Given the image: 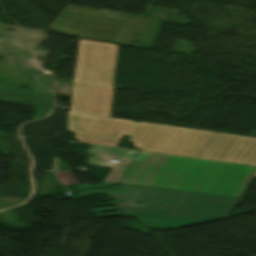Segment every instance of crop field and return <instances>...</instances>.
I'll return each instance as SVG.
<instances>
[{
	"mask_svg": "<svg viewBox=\"0 0 256 256\" xmlns=\"http://www.w3.org/2000/svg\"><path fill=\"white\" fill-rule=\"evenodd\" d=\"M166 192V194H161ZM239 198L231 196L185 192L146 187L139 200L146 206L132 202H117L126 216L159 229L181 228L228 217ZM217 211V212H214Z\"/></svg>",
	"mask_w": 256,
	"mask_h": 256,
	"instance_id": "crop-field-3",
	"label": "crop field"
},
{
	"mask_svg": "<svg viewBox=\"0 0 256 256\" xmlns=\"http://www.w3.org/2000/svg\"><path fill=\"white\" fill-rule=\"evenodd\" d=\"M117 49L80 40L68 130L83 142L118 146L126 134L140 150L198 158L215 132L72 114L109 117Z\"/></svg>",
	"mask_w": 256,
	"mask_h": 256,
	"instance_id": "crop-field-1",
	"label": "crop field"
},
{
	"mask_svg": "<svg viewBox=\"0 0 256 256\" xmlns=\"http://www.w3.org/2000/svg\"><path fill=\"white\" fill-rule=\"evenodd\" d=\"M144 189L145 187L141 186L120 184L119 186L113 187L110 193L116 199L136 202L140 196V192H143Z\"/></svg>",
	"mask_w": 256,
	"mask_h": 256,
	"instance_id": "crop-field-8",
	"label": "crop field"
},
{
	"mask_svg": "<svg viewBox=\"0 0 256 256\" xmlns=\"http://www.w3.org/2000/svg\"><path fill=\"white\" fill-rule=\"evenodd\" d=\"M88 153L95 154L89 164L114 167L107 181L119 182L127 168L130 166L137 151L94 146ZM111 159L119 160L118 163H110Z\"/></svg>",
	"mask_w": 256,
	"mask_h": 256,
	"instance_id": "crop-field-6",
	"label": "crop field"
},
{
	"mask_svg": "<svg viewBox=\"0 0 256 256\" xmlns=\"http://www.w3.org/2000/svg\"><path fill=\"white\" fill-rule=\"evenodd\" d=\"M199 158L256 166V138L215 133Z\"/></svg>",
	"mask_w": 256,
	"mask_h": 256,
	"instance_id": "crop-field-5",
	"label": "crop field"
},
{
	"mask_svg": "<svg viewBox=\"0 0 256 256\" xmlns=\"http://www.w3.org/2000/svg\"><path fill=\"white\" fill-rule=\"evenodd\" d=\"M255 170L140 152L122 182L240 196Z\"/></svg>",
	"mask_w": 256,
	"mask_h": 256,
	"instance_id": "crop-field-2",
	"label": "crop field"
},
{
	"mask_svg": "<svg viewBox=\"0 0 256 256\" xmlns=\"http://www.w3.org/2000/svg\"><path fill=\"white\" fill-rule=\"evenodd\" d=\"M256 176V175H255Z\"/></svg>",
	"mask_w": 256,
	"mask_h": 256,
	"instance_id": "crop-field-9",
	"label": "crop field"
},
{
	"mask_svg": "<svg viewBox=\"0 0 256 256\" xmlns=\"http://www.w3.org/2000/svg\"><path fill=\"white\" fill-rule=\"evenodd\" d=\"M126 16L67 5L51 28L59 34L111 42Z\"/></svg>",
	"mask_w": 256,
	"mask_h": 256,
	"instance_id": "crop-field-4",
	"label": "crop field"
},
{
	"mask_svg": "<svg viewBox=\"0 0 256 256\" xmlns=\"http://www.w3.org/2000/svg\"><path fill=\"white\" fill-rule=\"evenodd\" d=\"M146 21L145 18L127 16L112 42L132 46Z\"/></svg>",
	"mask_w": 256,
	"mask_h": 256,
	"instance_id": "crop-field-7",
	"label": "crop field"
}]
</instances>
